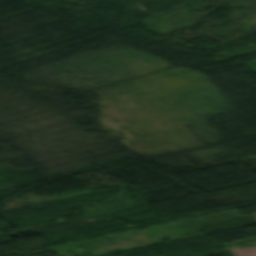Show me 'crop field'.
I'll use <instances>...</instances> for the list:
<instances>
[{"mask_svg": "<svg viewBox=\"0 0 256 256\" xmlns=\"http://www.w3.org/2000/svg\"><path fill=\"white\" fill-rule=\"evenodd\" d=\"M235 254L238 256H256V248L237 250Z\"/></svg>", "mask_w": 256, "mask_h": 256, "instance_id": "crop-field-1", "label": "crop field"}]
</instances>
